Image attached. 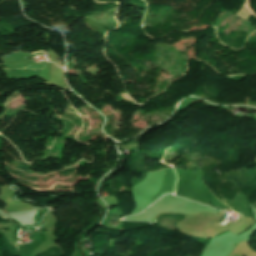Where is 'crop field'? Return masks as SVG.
<instances>
[{
  "label": "crop field",
  "instance_id": "crop-field-1",
  "mask_svg": "<svg viewBox=\"0 0 256 256\" xmlns=\"http://www.w3.org/2000/svg\"><path fill=\"white\" fill-rule=\"evenodd\" d=\"M245 3L249 5V0H246ZM248 5H246V6L248 7V9L252 13V15H254L256 17V14L254 13V11Z\"/></svg>",
  "mask_w": 256,
  "mask_h": 256
}]
</instances>
